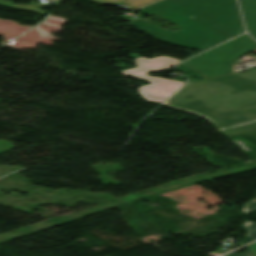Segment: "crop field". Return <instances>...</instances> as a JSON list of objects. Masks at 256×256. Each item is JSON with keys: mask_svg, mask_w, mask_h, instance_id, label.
<instances>
[{"mask_svg": "<svg viewBox=\"0 0 256 256\" xmlns=\"http://www.w3.org/2000/svg\"><path fill=\"white\" fill-rule=\"evenodd\" d=\"M139 11L161 16L182 29L166 31L143 19L130 24L183 47L207 50L245 32L236 0H162Z\"/></svg>", "mask_w": 256, "mask_h": 256, "instance_id": "1", "label": "crop field"}, {"mask_svg": "<svg viewBox=\"0 0 256 256\" xmlns=\"http://www.w3.org/2000/svg\"><path fill=\"white\" fill-rule=\"evenodd\" d=\"M166 104L211 119L225 134L256 129V70L187 85Z\"/></svg>", "mask_w": 256, "mask_h": 256, "instance_id": "2", "label": "crop field"}, {"mask_svg": "<svg viewBox=\"0 0 256 256\" xmlns=\"http://www.w3.org/2000/svg\"><path fill=\"white\" fill-rule=\"evenodd\" d=\"M255 49L256 41L244 34L181 64L195 69L210 79L232 73V62Z\"/></svg>", "mask_w": 256, "mask_h": 256, "instance_id": "3", "label": "crop field"}, {"mask_svg": "<svg viewBox=\"0 0 256 256\" xmlns=\"http://www.w3.org/2000/svg\"><path fill=\"white\" fill-rule=\"evenodd\" d=\"M246 27L256 39V0H239Z\"/></svg>", "mask_w": 256, "mask_h": 256, "instance_id": "4", "label": "crop field"}, {"mask_svg": "<svg viewBox=\"0 0 256 256\" xmlns=\"http://www.w3.org/2000/svg\"><path fill=\"white\" fill-rule=\"evenodd\" d=\"M241 228L246 229L247 235L242 241L236 243L237 245H244L256 239V222L247 221Z\"/></svg>", "mask_w": 256, "mask_h": 256, "instance_id": "5", "label": "crop field"}, {"mask_svg": "<svg viewBox=\"0 0 256 256\" xmlns=\"http://www.w3.org/2000/svg\"><path fill=\"white\" fill-rule=\"evenodd\" d=\"M252 211H256V197H255L254 201L246 204V206L242 210V212H244V213H248V212H252Z\"/></svg>", "mask_w": 256, "mask_h": 256, "instance_id": "6", "label": "crop field"}, {"mask_svg": "<svg viewBox=\"0 0 256 256\" xmlns=\"http://www.w3.org/2000/svg\"><path fill=\"white\" fill-rule=\"evenodd\" d=\"M247 251H248V253H245V254H239V255L229 254V255H226V256H253L250 246L247 247Z\"/></svg>", "mask_w": 256, "mask_h": 256, "instance_id": "7", "label": "crop field"}, {"mask_svg": "<svg viewBox=\"0 0 256 256\" xmlns=\"http://www.w3.org/2000/svg\"><path fill=\"white\" fill-rule=\"evenodd\" d=\"M253 255L256 256V242L251 244Z\"/></svg>", "mask_w": 256, "mask_h": 256, "instance_id": "8", "label": "crop field"}]
</instances>
